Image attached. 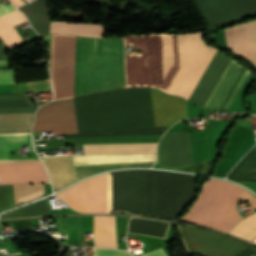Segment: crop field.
I'll return each mask as SVG.
<instances>
[{
	"label": "crop field",
	"mask_w": 256,
	"mask_h": 256,
	"mask_svg": "<svg viewBox=\"0 0 256 256\" xmlns=\"http://www.w3.org/2000/svg\"><path fill=\"white\" fill-rule=\"evenodd\" d=\"M254 149H255V152H256V146L254 147Z\"/></svg>",
	"instance_id": "crop-field-39"
},
{
	"label": "crop field",
	"mask_w": 256,
	"mask_h": 256,
	"mask_svg": "<svg viewBox=\"0 0 256 256\" xmlns=\"http://www.w3.org/2000/svg\"><path fill=\"white\" fill-rule=\"evenodd\" d=\"M154 162L147 163H131V164H114V165H97V166H82V167H73L76 181L82 179L86 176L95 174L97 172L125 168V167H149L153 165Z\"/></svg>",
	"instance_id": "crop-field-26"
},
{
	"label": "crop field",
	"mask_w": 256,
	"mask_h": 256,
	"mask_svg": "<svg viewBox=\"0 0 256 256\" xmlns=\"http://www.w3.org/2000/svg\"><path fill=\"white\" fill-rule=\"evenodd\" d=\"M36 108L25 95H0V113L34 112Z\"/></svg>",
	"instance_id": "crop-field-25"
},
{
	"label": "crop field",
	"mask_w": 256,
	"mask_h": 256,
	"mask_svg": "<svg viewBox=\"0 0 256 256\" xmlns=\"http://www.w3.org/2000/svg\"><path fill=\"white\" fill-rule=\"evenodd\" d=\"M248 73H249V70L246 69V71L240 78L239 82L237 83L236 87L234 88L233 92L231 93L230 97L228 98L227 102L225 103L224 107L229 108L231 102L233 101L234 97L236 96L238 90L240 89V87H241L242 83L244 82L245 78L247 77Z\"/></svg>",
	"instance_id": "crop-field-32"
},
{
	"label": "crop field",
	"mask_w": 256,
	"mask_h": 256,
	"mask_svg": "<svg viewBox=\"0 0 256 256\" xmlns=\"http://www.w3.org/2000/svg\"><path fill=\"white\" fill-rule=\"evenodd\" d=\"M52 180L54 190L75 181L70 156H54L42 159Z\"/></svg>",
	"instance_id": "crop-field-15"
},
{
	"label": "crop field",
	"mask_w": 256,
	"mask_h": 256,
	"mask_svg": "<svg viewBox=\"0 0 256 256\" xmlns=\"http://www.w3.org/2000/svg\"><path fill=\"white\" fill-rule=\"evenodd\" d=\"M156 127L171 126L184 119L185 100L150 88Z\"/></svg>",
	"instance_id": "crop-field-14"
},
{
	"label": "crop field",
	"mask_w": 256,
	"mask_h": 256,
	"mask_svg": "<svg viewBox=\"0 0 256 256\" xmlns=\"http://www.w3.org/2000/svg\"><path fill=\"white\" fill-rule=\"evenodd\" d=\"M24 21H26L25 17L16 9L0 17V38L8 50L25 45L12 27Z\"/></svg>",
	"instance_id": "crop-field-19"
},
{
	"label": "crop field",
	"mask_w": 256,
	"mask_h": 256,
	"mask_svg": "<svg viewBox=\"0 0 256 256\" xmlns=\"http://www.w3.org/2000/svg\"><path fill=\"white\" fill-rule=\"evenodd\" d=\"M124 85L123 38L76 36L74 96Z\"/></svg>",
	"instance_id": "crop-field-3"
},
{
	"label": "crop field",
	"mask_w": 256,
	"mask_h": 256,
	"mask_svg": "<svg viewBox=\"0 0 256 256\" xmlns=\"http://www.w3.org/2000/svg\"><path fill=\"white\" fill-rule=\"evenodd\" d=\"M95 256H131L129 253L124 251H116V250H103V249H92Z\"/></svg>",
	"instance_id": "crop-field-31"
},
{
	"label": "crop field",
	"mask_w": 256,
	"mask_h": 256,
	"mask_svg": "<svg viewBox=\"0 0 256 256\" xmlns=\"http://www.w3.org/2000/svg\"><path fill=\"white\" fill-rule=\"evenodd\" d=\"M0 42H2L0 40ZM6 47L4 45V43H0V60H8L7 56H6Z\"/></svg>",
	"instance_id": "crop-field-36"
},
{
	"label": "crop field",
	"mask_w": 256,
	"mask_h": 256,
	"mask_svg": "<svg viewBox=\"0 0 256 256\" xmlns=\"http://www.w3.org/2000/svg\"><path fill=\"white\" fill-rule=\"evenodd\" d=\"M73 166L155 161L156 154L71 156Z\"/></svg>",
	"instance_id": "crop-field-18"
},
{
	"label": "crop field",
	"mask_w": 256,
	"mask_h": 256,
	"mask_svg": "<svg viewBox=\"0 0 256 256\" xmlns=\"http://www.w3.org/2000/svg\"><path fill=\"white\" fill-rule=\"evenodd\" d=\"M34 113L0 114V133L30 132Z\"/></svg>",
	"instance_id": "crop-field-24"
},
{
	"label": "crop field",
	"mask_w": 256,
	"mask_h": 256,
	"mask_svg": "<svg viewBox=\"0 0 256 256\" xmlns=\"http://www.w3.org/2000/svg\"><path fill=\"white\" fill-rule=\"evenodd\" d=\"M78 130L154 127L149 88L74 98Z\"/></svg>",
	"instance_id": "crop-field-1"
},
{
	"label": "crop field",
	"mask_w": 256,
	"mask_h": 256,
	"mask_svg": "<svg viewBox=\"0 0 256 256\" xmlns=\"http://www.w3.org/2000/svg\"><path fill=\"white\" fill-rule=\"evenodd\" d=\"M13 9H15V8H13V7L11 6V4L3 6V5L0 3V16H2V15H4V14L8 13L9 11H11V10H13Z\"/></svg>",
	"instance_id": "crop-field-37"
},
{
	"label": "crop field",
	"mask_w": 256,
	"mask_h": 256,
	"mask_svg": "<svg viewBox=\"0 0 256 256\" xmlns=\"http://www.w3.org/2000/svg\"><path fill=\"white\" fill-rule=\"evenodd\" d=\"M51 215L48 202H35L29 206L19 208L13 212H9L3 215V218H12V217H25V216H43Z\"/></svg>",
	"instance_id": "crop-field-28"
},
{
	"label": "crop field",
	"mask_w": 256,
	"mask_h": 256,
	"mask_svg": "<svg viewBox=\"0 0 256 256\" xmlns=\"http://www.w3.org/2000/svg\"><path fill=\"white\" fill-rule=\"evenodd\" d=\"M159 166L179 168L192 163L188 132L166 131L158 146Z\"/></svg>",
	"instance_id": "crop-field-11"
},
{
	"label": "crop field",
	"mask_w": 256,
	"mask_h": 256,
	"mask_svg": "<svg viewBox=\"0 0 256 256\" xmlns=\"http://www.w3.org/2000/svg\"><path fill=\"white\" fill-rule=\"evenodd\" d=\"M243 67L231 59L204 108L214 109L220 107Z\"/></svg>",
	"instance_id": "crop-field-16"
},
{
	"label": "crop field",
	"mask_w": 256,
	"mask_h": 256,
	"mask_svg": "<svg viewBox=\"0 0 256 256\" xmlns=\"http://www.w3.org/2000/svg\"><path fill=\"white\" fill-rule=\"evenodd\" d=\"M11 3L15 6V7H19L21 5H23L24 3L21 0H10Z\"/></svg>",
	"instance_id": "crop-field-38"
},
{
	"label": "crop field",
	"mask_w": 256,
	"mask_h": 256,
	"mask_svg": "<svg viewBox=\"0 0 256 256\" xmlns=\"http://www.w3.org/2000/svg\"><path fill=\"white\" fill-rule=\"evenodd\" d=\"M12 186H0V210L14 206Z\"/></svg>",
	"instance_id": "crop-field-30"
},
{
	"label": "crop field",
	"mask_w": 256,
	"mask_h": 256,
	"mask_svg": "<svg viewBox=\"0 0 256 256\" xmlns=\"http://www.w3.org/2000/svg\"><path fill=\"white\" fill-rule=\"evenodd\" d=\"M178 226L187 251L200 256H232L248 245L217 233Z\"/></svg>",
	"instance_id": "crop-field-7"
},
{
	"label": "crop field",
	"mask_w": 256,
	"mask_h": 256,
	"mask_svg": "<svg viewBox=\"0 0 256 256\" xmlns=\"http://www.w3.org/2000/svg\"><path fill=\"white\" fill-rule=\"evenodd\" d=\"M13 189L16 205L41 197L43 194H45V188L42 184L13 185Z\"/></svg>",
	"instance_id": "crop-field-27"
},
{
	"label": "crop field",
	"mask_w": 256,
	"mask_h": 256,
	"mask_svg": "<svg viewBox=\"0 0 256 256\" xmlns=\"http://www.w3.org/2000/svg\"><path fill=\"white\" fill-rule=\"evenodd\" d=\"M54 131V135L78 133L73 98L49 102L35 116L33 132Z\"/></svg>",
	"instance_id": "crop-field-9"
},
{
	"label": "crop field",
	"mask_w": 256,
	"mask_h": 256,
	"mask_svg": "<svg viewBox=\"0 0 256 256\" xmlns=\"http://www.w3.org/2000/svg\"><path fill=\"white\" fill-rule=\"evenodd\" d=\"M75 35L52 34L53 100L73 96Z\"/></svg>",
	"instance_id": "crop-field-6"
},
{
	"label": "crop field",
	"mask_w": 256,
	"mask_h": 256,
	"mask_svg": "<svg viewBox=\"0 0 256 256\" xmlns=\"http://www.w3.org/2000/svg\"><path fill=\"white\" fill-rule=\"evenodd\" d=\"M93 229L96 245L117 248L115 217L93 216Z\"/></svg>",
	"instance_id": "crop-field-21"
},
{
	"label": "crop field",
	"mask_w": 256,
	"mask_h": 256,
	"mask_svg": "<svg viewBox=\"0 0 256 256\" xmlns=\"http://www.w3.org/2000/svg\"><path fill=\"white\" fill-rule=\"evenodd\" d=\"M125 45L142 46V54L125 58L127 87L151 86L165 92L178 69L176 34L125 36Z\"/></svg>",
	"instance_id": "crop-field-4"
},
{
	"label": "crop field",
	"mask_w": 256,
	"mask_h": 256,
	"mask_svg": "<svg viewBox=\"0 0 256 256\" xmlns=\"http://www.w3.org/2000/svg\"><path fill=\"white\" fill-rule=\"evenodd\" d=\"M197 32L178 34L179 55ZM198 32L179 56L180 68L166 90V93L188 98L215 51L213 46L206 45ZM230 57L216 51L188 100L203 108L216 83L230 61Z\"/></svg>",
	"instance_id": "crop-field-2"
},
{
	"label": "crop field",
	"mask_w": 256,
	"mask_h": 256,
	"mask_svg": "<svg viewBox=\"0 0 256 256\" xmlns=\"http://www.w3.org/2000/svg\"><path fill=\"white\" fill-rule=\"evenodd\" d=\"M102 24H80L51 21L50 33L103 36Z\"/></svg>",
	"instance_id": "crop-field-23"
},
{
	"label": "crop field",
	"mask_w": 256,
	"mask_h": 256,
	"mask_svg": "<svg viewBox=\"0 0 256 256\" xmlns=\"http://www.w3.org/2000/svg\"><path fill=\"white\" fill-rule=\"evenodd\" d=\"M229 234L251 240L256 237V213L241 220Z\"/></svg>",
	"instance_id": "crop-field-29"
},
{
	"label": "crop field",
	"mask_w": 256,
	"mask_h": 256,
	"mask_svg": "<svg viewBox=\"0 0 256 256\" xmlns=\"http://www.w3.org/2000/svg\"><path fill=\"white\" fill-rule=\"evenodd\" d=\"M57 196L79 211L107 212L106 174L85 180Z\"/></svg>",
	"instance_id": "crop-field-8"
},
{
	"label": "crop field",
	"mask_w": 256,
	"mask_h": 256,
	"mask_svg": "<svg viewBox=\"0 0 256 256\" xmlns=\"http://www.w3.org/2000/svg\"><path fill=\"white\" fill-rule=\"evenodd\" d=\"M209 28L256 15V0H193Z\"/></svg>",
	"instance_id": "crop-field-10"
},
{
	"label": "crop field",
	"mask_w": 256,
	"mask_h": 256,
	"mask_svg": "<svg viewBox=\"0 0 256 256\" xmlns=\"http://www.w3.org/2000/svg\"><path fill=\"white\" fill-rule=\"evenodd\" d=\"M168 127L142 128V129H116V130H90L79 131V134L66 135V139L89 137H118V136H147L161 135Z\"/></svg>",
	"instance_id": "crop-field-20"
},
{
	"label": "crop field",
	"mask_w": 256,
	"mask_h": 256,
	"mask_svg": "<svg viewBox=\"0 0 256 256\" xmlns=\"http://www.w3.org/2000/svg\"><path fill=\"white\" fill-rule=\"evenodd\" d=\"M256 253V248L249 245L234 256H253Z\"/></svg>",
	"instance_id": "crop-field-34"
},
{
	"label": "crop field",
	"mask_w": 256,
	"mask_h": 256,
	"mask_svg": "<svg viewBox=\"0 0 256 256\" xmlns=\"http://www.w3.org/2000/svg\"><path fill=\"white\" fill-rule=\"evenodd\" d=\"M228 48L256 65V20L225 29Z\"/></svg>",
	"instance_id": "crop-field-13"
},
{
	"label": "crop field",
	"mask_w": 256,
	"mask_h": 256,
	"mask_svg": "<svg viewBox=\"0 0 256 256\" xmlns=\"http://www.w3.org/2000/svg\"><path fill=\"white\" fill-rule=\"evenodd\" d=\"M139 256H166L164 254V252L161 250V248L159 249H156L154 251H151V252H148L146 254H143V255H139Z\"/></svg>",
	"instance_id": "crop-field-35"
},
{
	"label": "crop field",
	"mask_w": 256,
	"mask_h": 256,
	"mask_svg": "<svg viewBox=\"0 0 256 256\" xmlns=\"http://www.w3.org/2000/svg\"><path fill=\"white\" fill-rule=\"evenodd\" d=\"M49 182L40 161L0 163V184Z\"/></svg>",
	"instance_id": "crop-field-12"
},
{
	"label": "crop field",
	"mask_w": 256,
	"mask_h": 256,
	"mask_svg": "<svg viewBox=\"0 0 256 256\" xmlns=\"http://www.w3.org/2000/svg\"><path fill=\"white\" fill-rule=\"evenodd\" d=\"M21 144H28L32 148L30 133L0 134V162L39 160L38 157L10 158V148H19Z\"/></svg>",
	"instance_id": "crop-field-22"
},
{
	"label": "crop field",
	"mask_w": 256,
	"mask_h": 256,
	"mask_svg": "<svg viewBox=\"0 0 256 256\" xmlns=\"http://www.w3.org/2000/svg\"><path fill=\"white\" fill-rule=\"evenodd\" d=\"M0 65H6V61L0 62ZM3 83H13L12 70L0 71V84H3Z\"/></svg>",
	"instance_id": "crop-field-33"
},
{
	"label": "crop field",
	"mask_w": 256,
	"mask_h": 256,
	"mask_svg": "<svg viewBox=\"0 0 256 256\" xmlns=\"http://www.w3.org/2000/svg\"><path fill=\"white\" fill-rule=\"evenodd\" d=\"M156 143L83 145L84 155L155 153Z\"/></svg>",
	"instance_id": "crop-field-17"
},
{
	"label": "crop field",
	"mask_w": 256,
	"mask_h": 256,
	"mask_svg": "<svg viewBox=\"0 0 256 256\" xmlns=\"http://www.w3.org/2000/svg\"><path fill=\"white\" fill-rule=\"evenodd\" d=\"M239 199L248 200L256 209V198L247 190L226 181L209 178L181 219L228 231L242 217L236 211Z\"/></svg>",
	"instance_id": "crop-field-5"
}]
</instances>
